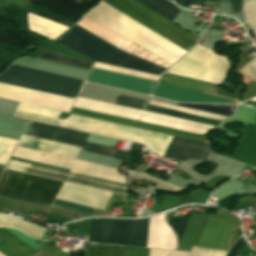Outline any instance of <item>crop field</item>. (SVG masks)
I'll return each instance as SVG.
<instances>
[{
	"label": "crop field",
	"instance_id": "crop-field-1",
	"mask_svg": "<svg viewBox=\"0 0 256 256\" xmlns=\"http://www.w3.org/2000/svg\"><path fill=\"white\" fill-rule=\"evenodd\" d=\"M61 113L19 103L13 116L57 125ZM58 124L67 128L144 144L159 155H163L171 139L170 136L76 115H71L64 120L60 119Z\"/></svg>",
	"mask_w": 256,
	"mask_h": 256
},
{
	"label": "crop field",
	"instance_id": "crop-field-2",
	"mask_svg": "<svg viewBox=\"0 0 256 256\" xmlns=\"http://www.w3.org/2000/svg\"><path fill=\"white\" fill-rule=\"evenodd\" d=\"M85 15L172 65L186 53L185 50L102 1Z\"/></svg>",
	"mask_w": 256,
	"mask_h": 256
},
{
	"label": "crop field",
	"instance_id": "crop-field-3",
	"mask_svg": "<svg viewBox=\"0 0 256 256\" xmlns=\"http://www.w3.org/2000/svg\"><path fill=\"white\" fill-rule=\"evenodd\" d=\"M54 42L92 60L160 76L166 71L157 65L125 53L84 29L73 26Z\"/></svg>",
	"mask_w": 256,
	"mask_h": 256
},
{
	"label": "crop field",
	"instance_id": "crop-field-4",
	"mask_svg": "<svg viewBox=\"0 0 256 256\" xmlns=\"http://www.w3.org/2000/svg\"><path fill=\"white\" fill-rule=\"evenodd\" d=\"M0 82L71 98L75 97L82 83L81 80L14 65H10L2 73H0Z\"/></svg>",
	"mask_w": 256,
	"mask_h": 256
},
{
	"label": "crop field",
	"instance_id": "crop-field-5",
	"mask_svg": "<svg viewBox=\"0 0 256 256\" xmlns=\"http://www.w3.org/2000/svg\"><path fill=\"white\" fill-rule=\"evenodd\" d=\"M61 181L4 170L0 178V192L53 203ZM0 193V196L51 206L50 203Z\"/></svg>",
	"mask_w": 256,
	"mask_h": 256
},
{
	"label": "crop field",
	"instance_id": "crop-field-6",
	"mask_svg": "<svg viewBox=\"0 0 256 256\" xmlns=\"http://www.w3.org/2000/svg\"><path fill=\"white\" fill-rule=\"evenodd\" d=\"M161 36L185 50H189L198 40L177 25L169 22L134 0H103ZM176 45V46H177ZM181 48V49H182ZM186 51V52H187Z\"/></svg>",
	"mask_w": 256,
	"mask_h": 256
},
{
	"label": "crop field",
	"instance_id": "crop-field-7",
	"mask_svg": "<svg viewBox=\"0 0 256 256\" xmlns=\"http://www.w3.org/2000/svg\"><path fill=\"white\" fill-rule=\"evenodd\" d=\"M227 70V60L196 45L185 57L175 64L168 73L220 84Z\"/></svg>",
	"mask_w": 256,
	"mask_h": 256
},
{
	"label": "crop field",
	"instance_id": "crop-field-8",
	"mask_svg": "<svg viewBox=\"0 0 256 256\" xmlns=\"http://www.w3.org/2000/svg\"><path fill=\"white\" fill-rule=\"evenodd\" d=\"M149 219L139 221L92 220L89 241L146 247Z\"/></svg>",
	"mask_w": 256,
	"mask_h": 256
},
{
	"label": "crop field",
	"instance_id": "crop-field-9",
	"mask_svg": "<svg viewBox=\"0 0 256 256\" xmlns=\"http://www.w3.org/2000/svg\"><path fill=\"white\" fill-rule=\"evenodd\" d=\"M14 157L41 162L49 165L70 169L69 172L86 175L91 177L102 178L118 183L126 184L125 176L117 173L116 169L69 158L41 151L31 150L22 147H16Z\"/></svg>",
	"mask_w": 256,
	"mask_h": 256
},
{
	"label": "crop field",
	"instance_id": "crop-field-10",
	"mask_svg": "<svg viewBox=\"0 0 256 256\" xmlns=\"http://www.w3.org/2000/svg\"><path fill=\"white\" fill-rule=\"evenodd\" d=\"M30 129L35 130V131L44 132V133L53 134V135L72 138V139H76V140H81V141H84L87 136L86 133L72 131V130H68V129H63V128L40 124V123H35V122L32 123ZM31 130H28V132H27L28 135L45 138V139H49V140H53V141H57V142H62V143H66V144H70V145H74V146H78V147H83V149L89 150V151L108 154V155L117 156V157H121V158H124V156L127 153V152L115 150L112 148H107V147H103V146H99V145H94V144H90V143H85V142H81V141L63 138V137L53 136V135L35 132V131H31Z\"/></svg>",
	"mask_w": 256,
	"mask_h": 256
},
{
	"label": "crop field",
	"instance_id": "crop-field-11",
	"mask_svg": "<svg viewBox=\"0 0 256 256\" xmlns=\"http://www.w3.org/2000/svg\"><path fill=\"white\" fill-rule=\"evenodd\" d=\"M0 98L69 112L74 100L0 84Z\"/></svg>",
	"mask_w": 256,
	"mask_h": 256
},
{
	"label": "crop field",
	"instance_id": "crop-field-12",
	"mask_svg": "<svg viewBox=\"0 0 256 256\" xmlns=\"http://www.w3.org/2000/svg\"><path fill=\"white\" fill-rule=\"evenodd\" d=\"M233 227L234 225L229 219L220 215H209L206 217L194 245L223 249Z\"/></svg>",
	"mask_w": 256,
	"mask_h": 256
},
{
	"label": "crop field",
	"instance_id": "crop-field-13",
	"mask_svg": "<svg viewBox=\"0 0 256 256\" xmlns=\"http://www.w3.org/2000/svg\"><path fill=\"white\" fill-rule=\"evenodd\" d=\"M86 81L149 95L155 82L92 68Z\"/></svg>",
	"mask_w": 256,
	"mask_h": 256
},
{
	"label": "crop field",
	"instance_id": "crop-field-14",
	"mask_svg": "<svg viewBox=\"0 0 256 256\" xmlns=\"http://www.w3.org/2000/svg\"><path fill=\"white\" fill-rule=\"evenodd\" d=\"M110 195L111 193L64 182L56 198L103 210Z\"/></svg>",
	"mask_w": 256,
	"mask_h": 256
},
{
	"label": "crop field",
	"instance_id": "crop-field-15",
	"mask_svg": "<svg viewBox=\"0 0 256 256\" xmlns=\"http://www.w3.org/2000/svg\"><path fill=\"white\" fill-rule=\"evenodd\" d=\"M33 166H30L29 164L20 163V162L10 160L6 168L21 171V172H25V173L27 172L29 167L36 168V169L43 168V167L37 168L38 166L37 167H33ZM32 168L29 169V171H28L29 174H34V175H38V176H43V177H47V178H52V179H57V180H61V181L71 182V183H75V184H80V185L95 187V188H99V189L114 191V192L123 193V194H125V191H126V189H124V188L115 187L116 185L126 187L125 185H121V184H116V183H112V182H107V181H103V180L94 179V180L103 181V182H107V183H111V184H116L115 186H110L111 184L106 185L107 183L106 184H101L102 182L101 183H96L98 181L92 182L94 180L87 181L89 179H93V178H89V177H85V178H89V179L83 180L85 178H83V179H78V178H81V177H84V176H81V177H78V178H73V177L80 176V175L69 177V176H72V175H75V174H72V175H69V176H64V175H68V174H71V173L60 175V174L66 173V172H63V173H60V174H55V173H59V172H62V171L55 172V173H50V172H54V171H50L52 169L46 170L48 168L41 169V170H46V171H50V172L36 170V169H32ZM55 171H57V170H55Z\"/></svg>",
	"mask_w": 256,
	"mask_h": 256
},
{
	"label": "crop field",
	"instance_id": "crop-field-16",
	"mask_svg": "<svg viewBox=\"0 0 256 256\" xmlns=\"http://www.w3.org/2000/svg\"><path fill=\"white\" fill-rule=\"evenodd\" d=\"M70 113L82 115V116H87L91 118H96L104 121H109V122H114V123H119L123 125H128V126H133V127H138L142 129H147L175 137H180V138H185V139H190V140H195V141H200V142H206L204 136L197 135V134H192V133H187L183 131H178V130H173L169 128H164V127H159L155 125H150V124H145L141 122H135L131 120H126V119H121L117 117H112V116H107L103 114H98V113H93L89 111H84V110H79L75 108H71Z\"/></svg>",
	"mask_w": 256,
	"mask_h": 256
},
{
	"label": "crop field",
	"instance_id": "crop-field-17",
	"mask_svg": "<svg viewBox=\"0 0 256 256\" xmlns=\"http://www.w3.org/2000/svg\"><path fill=\"white\" fill-rule=\"evenodd\" d=\"M148 105L166 108V109H170V110H175V111H179V112H184V113H188V114L198 115V116L216 119V120H220V121H222L224 118H226L225 116H220V115L206 113V112H202V111L173 106V105L160 103V102H156V101H152V100H149ZM148 105L146 106L145 110L151 111V112H156V113H160V114H165V115H169V116H173V117H178V118H182V119L192 120V121L206 123V124L215 125V126H219V124L221 123L220 121H216V120H211V119H207V118L188 115V114L170 111V110H166V109L156 108V107H152V106H148Z\"/></svg>",
	"mask_w": 256,
	"mask_h": 256
},
{
	"label": "crop field",
	"instance_id": "crop-field-18",
	"mask_svg": "<svg viewBox=\"0 0 256 256\" xmlns=\"http://www.w3.org/2000/svg\"><path fill=\"white\" fill-rule=\"evenodd\" d=\"M209 149L210 146L207 144L173 137L163 157L175 160L188 157L204 159Z\"/></svg>",
	"mask_w": 256,
	"mask_h": 256
},
{
	"label": "crop field",
	"instance_id": "crop-field-19",
	"mask_svg": "<svg viewBox=\"0 0 256 256\" xmlns=\"http://www.w3.org/2000/svg\"><path fill=\"white\" fill-rule=\"evenodd\" d=\"M147 247L175 249L176 239L163 220V214L150 218Z\"/></svg>",
	"mask_w": 256,
	"mask_h": 256
},
{
	"label": "crop field",
	"instance_id": "crop-field-20",
	"mask_svg": "<svg viewBox=\"0 0 256 256\" xmlns=\"http://www.w3.org/2000/svg\"><path fill=\"white\" fill-rule=\"evenodd\" d=\"M17 145L75 158L78 147L61 144L22 134Z\"/></svg>",
	"mask_w": 256,
	"mask_h": 256
},
{
	"label": "crop field",
	"instance_id": "crop-field-21",
	"mask_svg": "<svg viewBox=\"0 0 256 256\" xmlns=\"http://www.w3.org/2000/svg\"><path fill=\"white\" fill-rule=\"evenodd\" d=\"M202 92L158 83L153 95L184 102H197Z\"/></svg>",
	"mask_w": 256,
	"mask_h": 256
},
{
	"label": "crop field",
	"instance_id": "crop-field-22",
	"mask_svg": "<svg viewBox=\"0 0 256 256\" xmlns=\"http://www.w3.org/2000/svg\"><path fill=\"white\" fill-rule=\"evenodd\" d=\"M0 252L5 256H25L35 251L11 233L0 229Z\"/></svg>",
	"mask_w": 256,
	"mask_h": 256
},
{
	"label": "crop field",
	"instance_id": "crop-field-23",
	"mask_svg": "<svg viewBox=\"0 0 256 256\" xmlns=\"http://www.w3.org/2000/svg\"><path fill=\"white\" fill-rule=\"evenodd\" d=\"M27 24L29 30L39 33L52 40L68 29V27L47 21L29 13L27 14Z\"/></svg>",
	"mask_w": 256,
	"mask_h": 256
},
{
	"label": "crop field",
	"instance_id": "crop-field-24",
	"mask_svg": "<svg viewBox=\"0 0 256 256\" xmlns=\"http://www.w3.org/2000/svg\"><path fill=\"white\" fill-rule=\"evenodd\" d=\"M162 82L183 86L191 89H196L200 91H205L213 94L215 93L218 87V85L216 84L204 83V82L187 79L179 76L169 75V74H166Z\"/></svg>",
	"mask_w": 256,
	"mask_h": 256
},
{
	"label": "crop field",
	"instance_id": "crop-field-25",
	"mask_svg": "<svg viewBox=\"0 0 256 256\" xmlns=\"http://www.w3.org/2000/svg\"><path fill=\"white\" fill-rule=\"evenodd\" d=\"M137 1L170 21L181 12L167 0H137Z\"/></svg>",
	"mask_w": 256,
	"mask_h": 256
},
{
	"label": "crop field",
	"instance_id": "crop-field-26",
	"mask_svg": "<svg viewBox=\"0 0 256 256\" xmlns=\"http://www.w3.org/2000/svg\"><path fill=\"white\" fill-rule=\"evenodd\" d=\"M73 107L79 108V109H84V110H89V111H93V112L103 113V114H107V115L117 116V117H121V118L131 119V120H135V121H137L140 116V115L134 114V113L124 112V111H120V110L110 109V108L96 106V105L87 104V103H82V102H78V101L75 102Z\"/></svg>",
	"mask_w": 256,
	"mask_h": 256
},
{
	"label": "crop field",
	"instance_id": "crop-field-27",
	"mask_svg": "<svg viewBox=\"0 0 256 256\" xmlns=\"http://www.w3.org/2000/svg\"><path fill=\"white\" fill-rule=\"evenodd\" d=\"M37 58L42 59V60L51 61V62L60 63V64H65V65H69V66H74V67H78V68H83V69H87V70H89L92 65L91 62L78 60V59H74V58H70V57H65V56H61V55H57V54H52V53H48V52H44V51H41V53L38 55Z\"/></svg>",
	"mask_w": 256,
	"mask_h": 256
},
{
	"label": "crop field",
	"instance_id": "crop-field-28",
	"mask_svg": "<svg viewBox=\"0 0 256 256\" xmlns=\"http://www.w3.org/2000/svg\"><path fill=\"white\" fill-rule=\"evenodd\" d=\"M121 246L104 245L103 252L87 250L69 251V256H120Z\"/></svg>",
	"mask_w": 256,
	"mask_h": 256
},
{
	"label": "crop field",
	"instance_id": "crop-field-29",
	"mask_svg": "<svg viewBox=\"0 0 256 256\" xmlns=\"http://www.w3.org/2000/svg\"><path fill=\"white\" fill-rule=\"evenodd\" d=\"M177 105L183 106V107H188V108H193V109H198V110H202V111L227 115V116L229 114H231L234 110V107L225 106V105L179 104V103H177Z\"/></svg>",
	"mask_w": 256,
	"mask_h": 256
},
{
	"label": "crop field",
	"instance_id": "crop-field-30",
	"mask_svg": "<svg viewBox=\"0 0 256 256\" xmlns=\"http://www.w3.org/2000/svg\"><path fill=\"white\" fill-rule=\"evenodd\" d=\"M140 121L145 122V123L159 125V126L169 127V128H173V129L183 130V131H187V132L197 133V134H201V135H204V133H205V130L192 128V127H188V126H184V125H179V124H175V123H171V122H166V121H162V120H157V119H153V118H148V117H144V116L141 117Z\"/></svg>",
	"mask_w": 256,
	"mask_h": 256
},
{
	"label": "crop field",
	"instance_id": "crop-field-31",
	"mask_svg": "<svg viewBox=\"0 0 256 256\" xmlns=\"http://www.w3.org/2000/svg\"><path fill=\"white\" fill-rule=\"evenodd\" d=\"M94 67L99 68V69L113 71V72L123 73V74H127V75L137 76V77H141V78L151 79V80H155V81H157L159 78V77H157L158 75L153 76V75L140 73V72H136V71H132V70H127V69H123V68H119V67H115V66H110V65H106V64H102V63H98V62L95 63Z\"/></svg>",
	"mask_w": 256,
	"mask_h": 256
},
{
	"label": "crop field",
	"instance_id": "crop-field-32",
	"mask_svg": "<svg viewBox=\"0 0 256 256\" xmlns=\"http://www.w3.org/2000/svg\"><path fill=\"white\" fill-rule=\"evenodd\" d=\"M244 11L247 24L256 36V0H244Z\"/></svg>",
	"mask_w": 256,
	"mask_h": 256
},
{
	"label": "crop field",
	"instance_id": "crop-field-33",
	"mask_svg": "<svg viewBox=\"0 0 256 256\" xmlns=\"http://www.w3.org/2000/svg\"><path fill=\"white\" fill-rule=\"evenodd\" d=\"M130 177L151 182L153 184H156V185H158L160 187H163V188L168 189V190L173 191V192H176V191L181 189L179 187H176L174 185H171L169 183L161 181V180H159L157 178H154V177L149 176L147 174H144L142 172L130 173Z\"/></svg>",
	"mask_w": 256,
	"mask_h": 256
},
{
	"label": "crop field",
	"instance_id": "crop-field-34",
	"mask_svg": "<svg viewBox=\"0 0 256 256\" xmlns=\"http://www.w3.org/2000/svg\"><path fill=\"white\" fill-rule=\"evenodd\" d=\"M143 115L166 120V121H171V122H175V123H179V124H184V125H188V126H193V127H197V128H202V129H206V130L212 128V126L199 124V123H195V122H191V121H186V120H182V119H177V118L164 116V115H160V114H155V113H151V112H147V111H144Z\"/></svg>",
	"mask_w": 256,
	"mask_h": 256
},
{
	"label": "crop field",
	"instance_id": "crop-field-35",
	"mask_svg": "<svg viewBox=\"0 0 256 256\" xmlns=\"http://www.w3.org/2000/svg\"><path fill=\"white\" fill-rule=\"evenodd\" d=\"M17 141L0 137V164L5 165Z\"/></svg>",
	"mask_w": 256,
	"mask_h": 256
},
{
	"label": "crop field",
	"instance_id": "crop-field-36",
	"mask_svg": "<svg viewBox=\"0 0 256 256\" xmlns=\"http://www.w3.org/2000/svg\"><path fill=\"white\" fill-rule=\"evenodd\" d=\"M53 207L54 208H59V209H64V210H69V211H73V212H77V213H81V214H85V215H88V216H90V214L93 212V209H89V208H86V207H82V206H79V205H75V204L60 201V200H56Z\"/></svg>",
	"mask_w": 256,
	"mask_h": 256
},
{
	"label": "crop field",
	"instance_id": "crop-field-37",
	"mask_svg": "<svg viewBox=\"0 0 256 256\" xmlns=\"http://www.w3.org/2000/svg\"><path fill=\"white\" fill-rule=\"evenodd\" d=\"M147 101L118 95L114 104L143 110Z\"/></svg>",
	"mask_w": 256,
	"mask_h": 256
},
{
	"label": "crop field",
	"instance_id": "crop-field-38",
	"mask_svg": "<svg viewBox=\"0 0 256 256\" xmlns=\"http://www.w3.org/2000/svg\"><path fill=\"white\" fill-rule=\"evenodd\" d=\"M189 219L180 218V217H172L169 225L172 227L177 239L178 244L181 240V237L183 235V232L186 228V225L188 223Z\"/></svg>",
	"mask_w": 256,
	"mask_h": 256
},
{
	"label": "crop field",
	"instance_id": "crop-field-39",
	"mask_svg": "<svg viewBox=\"0 0 256 256\" xmlns=\"http://www.w3.org/2000/svg\"><path fill=\"white\" fill-rule=\"evenodd\" d=\"M226 252L200 248V247H192L191 253L189 256H225Z\"/></svg>",
	"mask_w": 256,
	"mask_h": 256
},
{
	"label": "crop field",
	"instance_id": "crop-field-40",
	"mask_svg": "<svg viewBox=\"0 0 256 256\" xmlns=\"http://www.w3.org/2000/svg\"><path fill=\"white\" fill-rule=\"evenodd\" d=\"M148 249L122 246L121 256H147Z\"/></svg>",
	"mask_w": 256,
	"mask_h": 256
},
{
	"label": "crop field",
	"instance_id": "crop-field-41",
	"mask_svg": "<svg viewBox=\"0 0 256 256\" xmlns=\"http://www.w3.org/2000/svg\"><path fill=\"white\" fill-rule=\"evenodd\" d=\"M77 100L78 101H82V102L96 104V105L106 106V107H110V108L120 109V110H124V111L134 112V113H138V114L141 113L140 110H135V109H131V108L116 106V105H112V104H108V103H103V102H98V101L89 100V99H84V98H80V97H78Z\"/></svg>",
	"mask_w": 256,
	"mask_h": 256
},
{
	"label": "crop field",
	"instance_id": "crop-field-42",
	"mask_svg": "<svg viewBox=\"0 0 256 256\" xmlns=\"http://www.w3.org/2000/svg\"><path fill=\"white\" fill-rule=\"evenodd\" d=\"M199 102H216V103H235V101L208 95V94H202Z\"/></svg>",
	"mask_w": 256,
	"mask_h": 256
},
{
	"label": "crop field",
	"instance_id": "crop-field-43",
	"mask_svg": "<svg viewBox=\"0 0 256 256\" xmlns=\"http://www.w3.org/2000/svg\"><path fill=\"white\" fill-rule=\"evenodd\" d=\"M242 70L256 80V57L246 64Z\"/></svg>",
	"mask_w": 256,
	"mask_h": 256
},
{
	"label": "crop field",
	"instance_id": "crop-field-44",
	"mask_svg": "<svg viewBox=\"0 0 256 256\" xmlns=\"http://www.w3.org/2000/svg\"><path fill=\"white\" fill-rule=\"evenodd\" d=\"M220 1L228 2V0H220ZM202 2L203 0H192L190 4L201 5ZM240 3H241V0H233L231 11L238 14L240 11Z\"/></svg>",
	"mask_w": 256,
	"mask_h": 256
},
{
	"label": "crop field",
	"instance_id": "crop-field-45",
	"mask_svg": "<svg viewBox=\"0 0 256 256\" xmlns=\"http://www.w3.org/2000/svg\"><path fill=\"white\" fill-rule=\"evenodd\" d=\"M243 244H245V242L242 237H240L239 240L232 246L227 256H236L238 250Z\"/></svg>",
	"mask_w": 256,
	"mask_h": 256
},
{
	"label": "crop field",
	"instance_id": "crop-field-46",
	"mask_svg": "<svg viewBox=\"0 0 256 256\" xmlns=\"http://www.w3.org/2000/svg\"><path fill=\"white\" fill-rule=\"evenodd\" d=\"M183 204H186V203H192L193 202V198L187 194L185 196H176Z\"/></svg>",
	"mask_w": 256,
	"mask_h": 256
},
{
	"label": "crop field",
	"instance_id": "crop-field-47",
	"mask_svg": "<svg viewBox=\"0 0 256 256\" xmlns=\"http://www.w3.org/2000/svg\"><path fill=\"white\" fill-rule=\"evenodd\" d=\"M190 1L191 0H175V3H177L180 6H183V7L187 8Z\"/></svg>",
	"mask_w": 256,
	"mask_h": 256
},
{
	"label": "crop field",
	"instance_id": "crop-field-48",
	"mask_svg": "<svg viewBox=\"0 0 256 256\" xmlns=\"http://www.w3.org/2000/svg\"><path fill=\"white\" fill-rule=\"evenodd\" d=\"M2 170H3V168L0 167V174H1Z\"/></svg>",
	"mask_w": 256,
	"mask_h": 256
},
{
	"label": "crop field",
	"instance_id": "crop-field-49",
	"mask_svg": "<svg viewBox=\"0 0 256 256\" xmlns=\"http://www.w3.org/2000/svg\"><path fill=\"white\" fill-rule=\"evenodd\" d=\"M173 1V0H172Z\"/></svg>",
	"mask_w": 256,
	"mask_h": 256
}]
</instances>
